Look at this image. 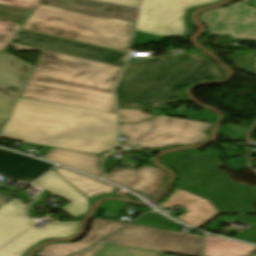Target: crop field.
<instances>
[{
  "instance_id": "obj_18",
  "label": "crop field",
  "mask_w": 256,
  "mask_h": 256,
  "mask_svg": "<svg viewBox=\"0 0 256 256\" xmlns=\"http://www.w3.org/2000/svg\"><path fill=\"white\" fill-rule=\"evenodd\" d=\"M34 184L69 202V205L61 209L70 216L81 215L87 211L89 203L85 196L83 197L52 170Z\"/></svg>"
},
{
  "instance_id": "obj_4",
  "label": "crop field",
  "mask_w": 256,
  "mask_h": 256,
  "mask_svg": "<svg viewBox=\"0 0 256 256\" xmlns=\"http://www.w3.org/2000/svg\"><path fill=\"white\" fill-rule=\"evenodd\" d=\"M134 25L39 4L22 29L127 52Z\"/></svg>"
},
{
  "instance_id": "obj_10",
  "label": "crop field",
  "mask_w": 256,
  "mask_h": 256,
  "mask_svg": "<svg viewBox=\"0 0 256 256\" xmlns=\"http://www.w3.org/2000/svg\"><path fill=\"white\" fill-rule=\"evenodd\" d=\"M34 66L0 52V132Z\"/></svg>"
},
{
  "instance_id": "obj_22",
  "label": "crop field",
  "mask_w": 256,
  "mask_h": 256,
  "mask_svg": "<svg viewBox=\"0 0 256 256\" xmlns=\"http://www.w3.org/2000/svg\"><path fill=\"white\" fill-rule=\"evenodd\" d=\"M256 247L233 242L220 237L206 235L205 256H244L251 254Z\"/></svg>"
},
{
  "instance_id": "obj_35",
  "label": "crop field",
  "mask_w": 256,
  "mask_h": 256,
  "mask_svg": "<svg viewBox=\"0 0 256 256\" xmlns=\"http://www.w3.org/2000/svg\"><path fill=\"white\" fill-rule=\"evenodd\" d=\"M250 256H252V255H250Z\"/></svg>"
},
{
  "instance_id": "obj_27",
  "label": "crop field",
  "mask_w": 256,
  "mask_h": 256,
  "mask_svg": "<svg viewBox=\"0 0 256 256\" xmlns=\"http://www.w3.org/2000/svg\"><path fill=\"white\" fill-rule=\"evenodd\" d=\"M147 41L160 42L161 38L137 31L132 45L145 43Z\"/></svg>"
},
{
  "instance_id": "obj_26",
  "label": "crop field",
  "mask_w": 256,
  "mask_h": 256,
  "mask_svg": "<svg viewBox=\"0 0 256 256\" xmlns=\"http://www.w3.org/2000/svg\"><path fill=\"white\" fill-rule=\"evenodd\" d=\"M249 129L235 126L228 124L221 132V134H224L226 136L230 137H237V138H243L246 139V134Z\"/></svg>"
},
{
  "instance_id": "obj_1",
  "label": "crop field",
  "mask_w": 256,
  "mask_h": 256,
  "mask_svg": "<svg viewBox=\"0 0 256 256\" xmlns=\"http://www.w3.org/2000/svg\"><path fill=\"white\" fill-rule=\"evenodd\" d=\"M0 138L99 154L117 143L116 115L19 97Z\"/></svg>"
},
{
  "instance_id": "obj_15",
  "label": "crop field",
  "mask_w": 256,
  "mask_h": 256,
  "mask_svg": "<svg viewBox=\"0 0 256 256\" xmlns=\"http://www.w3.org/2000/svg\"><path fill=\"white\" fill-rule=\"evenodd\" d=\"M54 165L0 149V175L31 182Z\"/></svg>"
},
{
  "instance_id": "obj_31",
  "label": "crop field",
  "mask_w": 256,
  "mask_h": 256,
  "mask_svg": "<svg viewBox=\"0 0 256 256\" xmlns=\"http://www.w3.org/2000/svg\"><path fill=\"white\" fill-rule=\"evenodd\" d=\"M10 198L11 197L0 191V206Z\"/></svg>"
},
{
  "instance_id": "obj_21",
  "label": "crop field",
  "mask_w": 256,
  "mask_h": 256,
  "mask_svg": "<svg viewBox=\"0 0 256 256\" xmlns=\"http://www.w3.org/2000/svg\"><path fill=\"white\" fill-rule=\"evenodd\" d=\"M52 170L88 200L98 195L112 193L117 189L115 186L66 168L57 166Z\"/></svg>"
},
{
  "instance_id": "obj_23",
  "label": "crop field",
  "mask_w": 256,
  "mask_h": 256,
  "mask_svg": "<svg viewBox=\"0 0 256 256\" xmlns=\"http://www.w3.org/2000/svg\"><path fill=\"white\" fill-rule=\"evenodd\" d=\"M235 220L239 221V224H248L251 226L241 233L237 232L234 238L256 243V215H220L202 229L211 232L221 223L230 224Z\"/></svg>"
},
{
  "instance_id": "obj_2",
  "label": "crop field",
  "mask_w": 256,
  "mask_h": 256,
  "mask_svg": "<svg viewBox=\"0 0 256 256\" xmlns=\"http://www.w3.org/2000/svg\"><path fill=\"white\" fill-rule=\"evenodd\" d=\"M10 46L21 51L42 50ZM42 51L22 97L116 114L112 88L122 67Z\"/></svg>"
},
{
  "instance_id": "obj_11",
  "label": "crop field",
  "mask_w": 256,
  "mask_h": 256,
  "mask_svg": "<svg viewBox=\"0 0 256 256\" xmlns=\"http://www.w3.org/2000/svg\"><path fill=\"white\" fill-rule=\"evenodd\" d=\"M12 42L112 65H115L119 62H125L126 59V55L124 54L74 44L22 31H19Z\"/></svg>"
},
{
  "instance_id": "obj_7",
  "label": "crop field",
  "mask_w": 256,
  "mask_h": 256,
  "mask_svg": "<svg viewBox=\"0 0 256 256\" xmlns=\"http://www.w3.org/2000/svg\"><path fill=\"white\" fill-rule=\"evenodd\" d=\"M105 242L184 256H201L203 248V236L131 224L94 247L72 256H93Z\"/></svg>"
},
{
  "instance_id": "obj_16",
  "label": "crop field",
  "mask_w": 256,
  "mask_h": 256,
  "mask_svg": "<svg viewBox=\"0 0 256 256\" xmlns=\"http://www.w3.org/2000/svg\"><path fill=\"white\" fill-rule=\"evenodd\" d=\"M179 204L188 212L176 218L196 228L219 214L208 201L178 188L171 198L159 205L166 209Z\"/></svg>"
},
{
  "instance_id": "obj_34",
  "label": "crop field",
  "mask_w": 256,
  "mask_h": 256,
  "mask_svg": "<svg viewBox=\"0 0 256 256\" xmlns=\"http://www.w3.org/2000/svg\"><path fill=\"white\" fill-rule=\"evenodd\" d=\"M256 171V169H254Z\"/></svg>"
},
{
  "instance_id": "obj_13",
  "label": "crop field",
  "mask_w": 256,
  "mask_h": 256,
  "mask_svg": "<svg viewBox=\"0 0 256 256\" xmlns=\"http://www.w3.org/2000/svg\"><path fill=\"white\" fill-rule=\"evenodd\" d=\"M80 222H53L41 229L32 227L0 249V256H22L40 240L51 237H68L76 234Z\"/></svg>"
},
{
  "instance_id": "obj_17",
  "label": "crop field",
  "mask_w": 256,
  "mask_h": 256,
  "mask_svg": "<svg viewBox=\"0 0 256 256\" xmlns=\"http://www.w3.org/2000/svg\"><path fill=\"white\" fill-rule=\"evenodd\" d=\"M127 225V223L115 222L94 218L92 229L88 235L81 241L75 243H54L43 247L34 256H66L71 253L80 251L89 245L95 243L111 232ZM112 234V233H111Z\"/></svg>"
},
{
  "instance_id": "obj_8",
  "label": "crop field",
  "mask_w": 256,
  "mask_h": 256,
  "mask_svg": "<svg viewBox=\"0 0 256 256\" xmlns=\"http://www.w3.org/2000/svg\"><path fill=\"white\" fill-rule=\"evenodd\" d=\"M221 0H144L138 31L160 37H175L186 32L183 16L190 7Z\"/></svg>"
},
{
  "instance_id": "obj_19",
  "label": "crop field",
  "mask_w": 256,
  "mask_h": 256,
  "mask_svg": "<svg viewBox=\"0 0 256 256\" xmlns=\"http://www.w3.org/2000/svg\"><path fill=\"white\" fill-rule=\"evenodd\" d=\"M20 200L12 199L0 207V247L35 223L25 217L26 205Z\"/></svg>"
},
{
  "instance_id": "obj_30",
  "label": "crop field",
  "mask_w": 256,
  "mask_h": 256,
  "mask_svg": "<svg viewBox=\"0 0 256 256\" xmlns=\"http://www.w3.org/2000/svg\"><path fill=\"white\" fill-rule=\"evenodd\" d=\"M118 161L116 160H112V159H108V158H105L102 166L105 170V172L110 169L114 164H116Z\"/></svg>"
},
{
  "instance_id": "obj_20",
  "label": "crop field",
  "mask_w": 256,
  "mask_h": 256,
  "mask_svg": "<svg viewBox=\"0 0 256 256\" xmlns=\"http://www.w3.org/2000/svg\"><path fill=\"white\" fill-rule=\"evenodd\" d=\"M102 156L60 148L51 147L44 159L59 162L77 170L94 176H101L102 172L98 163Z\"/></svg>"
},
{
  "instance_id": "obj_14",
  "label": "crop field",
  "mask_w": 256,
  "mask_h": 256,
  "mask_svg": "<svg viewBox=\"0 0 256 256\" xmlns=\"http://www.w3.org/2000/svg\"><path fill=\"white\" fill-rule=\"evenodd\" d=\"M39 1L0 0V51L6 48Z\"/></svg>"
},
{
  "instance_id": "obj_24",
  "label": "crop field",
  "mask_w": 256,
  "mask_h": 256,
  "mask_svg": "<svg viewBox=\"0 0 256 256\" xmlns=\"http://www.w3.org/2000/svg\"><path fill=\"white\" fill-rule=\"evenodd\" d=\"M165 253L105 243L94 256H164Z\"/></svg>"
},
{
  "instance_id": "obj_28",
  "label": "crop field",
  "mask_w": 256,
  "mask_h": 256,
  "mask_svg": "<svg viewBox=\"0 0 256 256\" xmlns=\"http://www.w3.org/2000/svg\"><path fill=\"white\" fill-rule=\"evenodd\" d=\"M104 2L131 7H139L141 0H104Z\"/></svg>"
},
{
  "instance_id": "obj_9",
  "label": "crop field",
  "mask_w": 256,
  "mask_h": 256,
  "mask_svg": "<svg viewBox=\"0 0 256 256\" xmlns=\"http://www.w3.org/2000/svg\"><path fill=\"white\" fill-rule=\"evenodd\" d=\"M210 35L229 34L231 38L256 40V9L240 1L225 8L200 14Z\"/></svg>"
},
{
  "instance_id": "obj_32",
  "label": "crop field",
  "mask_w": 256,
  "mask_h": 256,
  "mask_svg": "<svg viewBox=\"0 0 256 256\" xmlns=\"http://www.w3.org/2000/svg\"><path fill=\"white\" fill-rule=\"evenodd\" d=\"M252 4H254L256 6V0H252L251 2Z\"/></svg>"
},
{
  "instance_id": "obj_6",
  "label": "crop field",
  "mask_w": 256,
  "mask_h": 256,
  "mask_svg": "<svg viewBox=\"0 0 256 256\" xmlns=\"http://www.w3.org/2000/svg\"><path fill=\"white\" fill-rule=\"evenodd\" d=\"M212 124L157 115L139 124H120V135L129 139L123 144L149 148L203 143L201 131Z\"/></svg>"
},
{
  "instance_id": "obj_12",
  "label": "crop field",
  "mask_w": 256,
  "mask_h": 256,
  "mask_svg": "<svg viewBox=\"0 0 256 256\" xmlns=\"http://www.w3.org/2000/svg\"><path fill=\"white\" fill-rule=\"evenodd\" d=\"M105 179L139 191L150 198H154L162 192L167 181V174L160 169L148 165H142L138 169L116 167Z\"/></svg>"
},
{
  "instance_id": "obj_33",
  "label": "crop field",
  "mask_w": 256,
  "mask_h": 256,
  "mask_svg": "<svg viewBox=\"0 0 256 256\" xmlns=\"http://www.w3.org/2000/svg\"><path fill=\"white\" fill-rule=\"evenodd\" d=\"M96 1H100V2H102L103 0H96Z\"/></svg>"
},
{
  "instance_id": "obj_3",
  "label": "crop field",
  "mask_w": 256,
  "mask_h": 256,
  "mask_svg": "<svg viewBox=\"0 0 256 256\" xmlns=\"http://www.w3.org/2000/svg\"><path fill=\"white\" fill-rule=\"evenodd\" d=\"M226 72L197 50L130 63L116 87L119 107L161 108L181 98L180 90L197 80H216Z\"/></svg>"
},
{
  "instance_id": "obj_29",
  "label": "crop field",
  "mask_w": 256,
  "mask_h": 256,
  "mask_svg": "<svg viewBox=\"0 0 256 256\" xmlns=\"http://www.w3.org/2000/svg\"><path fill=\"white\" fill-rule=\"evenodd\" d=\"M151 57H152L151 52H138L137 58L129 57L128 62L135 61V60H142V59L151 58Z\"/></svg>"
},
{
  "instance_id": "obj_5",
  "label": "crop field",
  "mask_w": 256,
  "mask_h": 256,
  "mask_svg": "<svg viewBox=\"0 0 256 256\" xmlns=\"http://www.w3.org/2000/svg\"><path fill=\"white\" fill-rule=\"evenodd\" d=\"M162 162L180 172L178 188L208 200L219 213H256V187L231 180L219 163L183 151L165 155Z\"/></svg>"
},
{
  "instance_id": "obj_25",
  "label": "crop field",
  "mask_w": 256,
  "mask_h": 256,
  "mask_svg": "<svg viewBox=\"0 0 256 256\" xmlns=\"http://www.w3.org/2000/svg\"><path fill=\"white\" fill-rule=\"evenodd\" d=\"M121 115L120 122H138L153 117L154 115L145 114L139 110L119 109Z\"/></svg>"
}]
</instances>
